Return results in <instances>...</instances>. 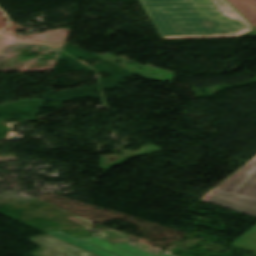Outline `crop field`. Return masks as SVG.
<instances>
[{"label": "crop field", "mask_w": 256, "mask_h": 256, "mask_svg": "<svg viewBox=\"0 0 256 256\" xmlns=\"http://www.w3.org/2000/svg\"><path fill=\"white\" fill-rule=\"evenodd\" d=\"M139 1L162 39L256 36L225 0Z\"/></svg>", "instance_id": "obj_1"}, {"label": "crop field", "mask_w": 256, "mask_h": 256, "mask_svg": "<svg viewBox=\"0 0 256 256\" xmlns=\"http://www.w3.org/2000/svg\"><path fill=\"white\" fill-rule=\"evenodd\" d=\"M204 201L256 217V160Z\"/></svg>", "instance_id": "obj_2"}, {"label": "crop field", "mask_w": 256, "mask_h": 256, "mask_svg": "<svg viewBox=\"0 0 256 256\" xmlns=\"http://www.w3.org/2000/svg\"><path fill=\"white\" fill-rule=\"evenodd\" d=\"M61 240L98 256H169L139 243L112 245L100 238H72L62 232H49Z\"/></svg>", "instance_id": "obj_3"}, {"label": "crop field", "mask_w": 256, "mask_h": 256, "mask_svg": "<svg viewBox=\"0 0 256 256\" xmlns=\"http://www.w3.org/2000/svg\"><path fill=\"white\" fill-rule=\"evenodd\" d=\"M40 248L32 256H96L48 234L28 238Z\"/></svg>", "instance_id": "obj_4"}]
</instances>
